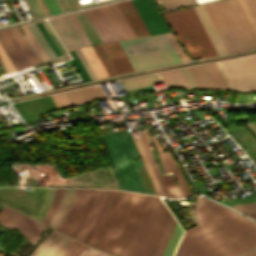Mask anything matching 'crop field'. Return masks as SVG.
Listing matches in <instances>:
<instances>
[{
    "label": "crop field",
    "mask_w": 256,
    "mask_h": 256,
    "mask_svg": "<svg viewBox=\"0 0 256 256\" xmlns=\"http://www.w3.org/2000/svg\"><path fill=\"white\" fill-rule=\"evenodd\" d=\"M87 62L89 63L90 67L92 68L94 74L96 75L97 79L107 77V74L93 48V46L83 47L81 48Z\"/></svg>",
    "instance_id": "crop-field-24"
},
{
    "label": "crop field",
    "mask_w": 256,
    "mask_h": 256,
    "mask_svg": "<svg viewBox=\"0 0 256 256\" xmlns=\"http://www.w3.org/2000/svg\"><path fill=\"white\" fill-rule=\"evenodd\" d=\"M106 256H111V255H108V254H107Z\"/></svg>",
    "instance_id": "crop-field-55"
},
{
    "label": "crop field",
    "mask_w": 256,
    "mask_h": 256,
    "mask_svg": "<svg viewBox=\"0 0 256 256\" xmlns=\"http://www.w3.org/2000/svg\"><path fill=\"white\" fill-rule=\"evenodd\" d=\"M158 81L159 78L157 74H147L139 77L122 80L121 83L125 91H128L132 89L150 86L151 84L157 83Z\"/></svg>",
    "instance_id": "crop-field-23"
},
{
    "label": "crop field",
    "mask_w": 256,
    "mask_h": 256,
    "mask_svg": "<svg viewBox=\"0 0 256 256\" xmlns=\"http://www.w3.org/2000/svg\"><path fill=\"white\" fill-rule=\"evenodd\" d=\"M95 191L94 189L76 190L69 211L57 230L74 237L87 216Z\"/></svg>",
    "instance_id": "crop-field-9"
},
{
    "label": "crop field",
    "mask_w": 256,
    "mask_h": 256,
    "mask_svg": "<svg viewBox=\"0 0 256 256\" xmlns=\"http://www.w3.org/2000/svg\"><path fill=\"white\" fill-rule=\"evenodd\" d=\"M77 92L83 103L105 96L101 85L78 89Z\"/></svg>",
    "instance_id": "crop-field-29"
},
{
    "label": "crop field",
    "mask_w": 256,
    "mask_h": 256,
    "mask_svg": "<svg viewBox=\"0 0 256 256\" xmlns=\"http://www.w3.org/2000/svg\"><path fill=\"white\" fill-rule=\"evenodd\" d=\"M105 191L106 190H98L97 191L96 196H95L94 201H93V204L91 206V209L88 213V216H87L84 224L81 226V228L79 229V231L77 232V234L74 237L77 240L82 242L83 238L85 237L88 230L92 226V224H93V222H94V220H95V218H96V216L99 212L101 204L103 202Z\"/></svg>",
    "instance_id": "crop-field-21"
},
{
    "label": "crop field",
    "mask_w": 256,
    "mask_h": 256,
    "mask_svg": "<svg viewBox=\"0 0 256 256\" xmlns=\"http://www.w3.org/2000/svg\"><path fill=\"white\" fill-rule=\"evenodd\" d=\"M256 220V219H255Z\"/></svg>",
    "instance_id": "crop-field-56"
},
{
    "label": "crop field",
    "mask_w": 256,
    "mask_h": 256,
    "mask_svg": "<svg viewBox=\"0 0 256 256\" xmlns=\"http://www.w3.org/2000/svg\"><path fill=\"white\" fill-rule=\"evenodd\" d=\"M164 16L190 56L194 58L217 56L193 7L165 13Z\"/></svg>",
    "instance_id": "crop-field-5"
},
{
    "label": "crop field",
    "mask_w": 256,
    "mask_h": 256,
    "mask_svg": "<svg viewBox=\"0 0 256 256\" xmlns=\"http://www.w3.org/2000/svg\"><path fill=\"white\" fill-rule=\"evenodd\" d=\"M87 17L89 18L91 24L96 30L98 36L100 37L102 43L115 41L116 38L111 31L109 25L107 24L104 16L102 15L98 7L84 10Z\"/></svg>",
    "instance_id": "crop-field-16"
},
{
    "label": "crop field",
    "mask_w": 256,
    "mask_h": 256,
    "mask_svg": "<svg viewBox=\"0 0 256 256\" xmlns=\"http://www.w3.org/2000/svg\"><path fill=\"white\" fill-rule=\"evenodd\" d=\"M161 200L147 195L119 256H135Z\"/></svg>",
    "instance_id": "crop-field-7"
},
{
    "label": "crop field",
    "mask_w": 256,
    "mask_h": 256,
    "mask_svg": "<svg viewBox=\"0 0 256 256\" xmlns=\"http://www.w3.org/2000/svg\"><path fill=\"white\" fill-rule=\"evenodd\" d=\"M166 11L194 5V0H161Z\"/></svg>",
    "instance_id": "crop-field-32"
},
{
    "label": "crop field",
    "mask_w": 256,
    "mask_h": 256,
    "mask_svg": "<svg viewBox=\"0 0 256 256\" xmlns=\"http://www.w3.org/2000/svg\"><path fill=\"white\" fill-rule=\"evenodd\" d=\"M74 15L77 18L78 22L80 23L81 27L83 28V30H84L85 34L87 35L88 39L90 40L91 44L101 43L99 37L97 36L95 30L93 29L92 25L90 24L84 11L74 12Z\"/></svg>",
    "instance_id": "crop-field-28"
},
{
    "label": "crop field",
    "mask_w": 256,
    "mask_h": 256,
    "mask_svg": "<svg viewBox=\"0 0 256 256\" xmlns=\"http://www.w3.org/2000/svg\"><path fill=\"white\" fill-rule=\"evenodd\" d=\"M49 21L67 51L84 46L83 41L75 30L67 14L50 18Z\"/></svg>",
    "instance_id": "crop-field-12"
},
{
    "label": "crop field",
    "mask_w": 256,
    "mask_h": 256,
    "mask_svg": "<svg viewBox=\"0 0 256 256\" xmlns=\"http://www.w3.org/2000/svg\"><path fill=\"white\" fill-rule=\"evenodd\" d=\"M106 253L86 246L78 256H105Z\"/></svg>",
    "instance_id": "crop-field-43"
},
{
    "label": "crop field",
    "mask_w": 256,
    "mask_h": 256,
    "mask_svg": "<svg viewBox=\"0 0 256 256\" xmlns=\"http://www.w3.org/2000/svg\"><path fill=\"white\" fill-rule=\"evenodd\" d=\"M42 25L44 26L45 30L48 32V34L50 35L51 39L53 40V42L55 43V45L57 46L58 50L60 51L61 54L65 53V51L63 50V48L61 47V45L59 44L58 40L56 39V37L54 36V34L52 33L49 25L47 24L46 20H42L41 21Z\"/></svg>",
    "instance_id": "crop-field-42"
},
{
    "label": "crop field",
    "mask_w": 256,
    "mask_h": 256,
    "mask_svg": "<svg viewBox=\"0 0 256 256\" xmlns=\"http://www.w3.org/2000/svg\"><path fill=\"white\" fill-rule=\"evenodd\" d=\"M228 54L256 48V34L237 0L204 5Z\"/></svg>",
    "instance_id": "crop-field-1"
},
{
    "label": "crop field",
    "mask_w": 256,
    "mask_h": 256,
    "mask_svg": "<svg viewBox=\"0 0 256 256\" xmlns=\"http://www.w3.org/2000/svg\"><path fill=\"white\" fill-rule=\"evenodd\" d=\"M119 74L133 71L118 42L103 45Z\"/></svg>",
    "instance_id": "crop-field-19"
},
{
    "label": "crop field",
    "mask_w": 256,
    "mask_h": 256,
    "mask_svg": "<svg viewBox=\"0 0 256 256\" xmlns=\"http://www.w3.org/2000/svg\"><path fill=\"white\" fill-rule=\"evenodd\" d=\"M243 214L256 212V202L230 206Z\"/></svg>",
    "instance_id": "crop-field-36"
},
{
    "label": "crop field",
    "mask_w": 256,
    "mask_h": 256,
    "mask_svg": "<svg viewBox=\"0 0 256 256\" xmlns=\"http://www.w3.org/2000/svg\"><path fill=\"white\" fill-rule=\"evenodd\" d=\"M236 256H256V246Z\"/></svg>",
    "instance_id": "crop-field-49"
},
{
    "label": "crop field",
    "mask_w": 256,
    "mask_h": 256,
    "mask_svg": "<svg viewBox=\"0 0 256 256\" xmlns=\"http://www.w3.org/2000/svg\"><path fill=\"white\" fill-rule=\"evenodd\" d=\"M136 37L149 35L131 0L118 3Z\"/></svg>",
    "instance_id": "crop-field-17"
},
{
    "label": "crop field",
    "mask_w": 256,
    "mask_h": 256,
    "mask_svg": "<svg viewBox=\"0 0 256 256\" xmlns=\"http://www.w3.org/2000/svg\"><path fill=\"white\" fill-rule=\"evenodd\" d=\"M256 194V189L254 190ZM256 201V196L240 198V199H233L227 201H221L224 204L231 205V204H239V203H246V202H253Z\"/></svg>",
    "instance_id": "crop-field-44"
},
{
    "label": "crop field",
    "mask_w": 256,
    "mask_h": 256,
    "mask_svg": "<svg viewBox=\"0 0 256 256\" xmlns=\"http://www.w3.org/2000/svg\"><path fill=\"white\" fill-rule=\"evenodd\" d=\"M76 189L63 188L59 204L48 226L56 229L65 217Z\"/></svg>",
    "instance_id": "crop-field-20"
},
{
    "label": "crop field",
    "mask_w": 256,
    "mask_h": 256,
    "mask_svg": "<svg viewBox=\"0 0 256 256\" xmlns=\"http://www.w3.org/2000/svg\"><path fill=\"white\" fill-rule=\"evenodd\" d=\"M119 192H122V191H119ZM118 192V194H119ZM123 193H129V192H123ZM123 193H120L115 204H114V207L108 217V220L101 232V235L96 243V247H99L101 249H104V250H107L109 252H112V253H115V254H119L122 246H123V243L129 233V230L134 222V219L140 209V206L144 200L145 197H142V196H145L143 194H136V193H129V194H136V195H142V196H136V195H129V194H123ZM107 219V218H106ZM94 247V246H93ZM94 247V248H96ZM98 249V248H96ZM99 249V250H101ZM104 250H101V251H104ZM106 252V251H104ZM109 252H106V253H109ZM112 253H109L111 255H114ZM117 255H114V256H117Z\"/></svg>",
    "instance_id": "crop-field-2"
},
{
    "label": "crop field",
    "mask_w": 256,
    "mask_h": 256,
    "mask_svg": "<svg viewBox=\"0 0 256 256\" xmlns=\"http://www.w3.org/2000/svg\"><path fill=\"white\" fill-rule=\"evenodd\" d=\"M0 62L3 66V68L5 69L6 73L15 71V68L13 67L10 60L8 59V57L2 50L1 46H0Z\"/></svg>",
    "instance_id": "crop-field-37"
},
{
    "label": "crop field",
    "mask_w": 256,
    "mask_h": 256,
    "mask_svg": "<svg viewBox=\"0 0 256 256\" xmlns=\"http://www.w3.org/2000/svg\"><path fill=\"white\" fill-rule=\"evenodd\" d=\"M170 215L161 202L136 256H152Z\"/></svg>",
    "instance_id": "crop-field-10"
},
{
    "label": "crop field",
    "mask_w": 256,
    "mask_h": 256,
    "mask_svg": "<svg viewBox=\"0 0 256 256\" xmlns=\"http://www.w3.org/2000/svg\"><path fill=\"white\" fill-rule=\"evenodd\" d=\"M0 43L6 50L16 70L40 64V61L29 48L18 28L1 31Z\"/></svg>",
    "instance_id": "crop-field-8"
},
{
    "label": "crop field",
    "mask_w": 256,
    "mask_h": 256,
    "mask_svg": "<svg viewBox=\"0 0 256 256\" xmlns=\"http://www.w3.org/2000/svg\"><path fill=\"white\" fill-rule=\"evenodd\" d=\"M61 190H62V188H56V190H55V195H54V199H53V201H52V203H51V205H50V208H49V211H48L47 215H46L45 218L42 220V223H43V221H45L44 224L47 225L48 221H49L50 218L52 217L53 212H54V210H55V208H56V206H57V204H58V201H59V198H60V194H61Z\"/></svg>",
    "instance_id": "crop-field-34"
},
{
    "label": "crop field",
    "mask_w": 256,
    "mask_h": 256,
    "mask_svg": "<svg viewBox=\"0 0 256 256\" xmlns=\"http://www.w3.org/2000/svg\"><path fill=\"white\" fill-rule=\"evenodd\" d=\"M117 192L118 191H107L106 192V196H105L104 202L102 204V207L100 209V212H99L93 226L91 227L90 231L88 232L85 239L83 240V243L93 246Z\"/></svg>",
    "instance_id": "crop-field-15"
},
{
    "label": "crop field",
    "mask_w": 256,
    "mask_h": 256,
    "mask_svg": "<svg viewBox=\"0 0 256 256\" xmlns=\"http://www.w3.org/2000/svg\"><path fill=\"white\" fill-rule=\"evenodd\" d=\"M168 89L170 88H189L180 69L160 73Z\"/></svg>",
    "instance_id": "crop-field-26"
},
{
    "label": "crop field",
    "mask_w": 256,
    "mask_h": 256,
    "mask_svg": "<svg viewBox=\"0 0 256 256\" xmlns=\"http://www.w3.org/2000/svg\"><path fill=\"white\" fill-rule=\"evenodd\" d=\"M113 164L122 190L146 193L132 159L139 158L127 131L100 137Z\"/></svg>",
    "instance_id": "crop-field-4"
},
{
    "label": "crop field",
    "mask_w": 256,
    "mask_h": 256,
    "mask_svg": "<svg viewBox=\"0 0 256 256\" xmlns=\"http://www.w3.org/2000/svg\"><path fill=\"white\" fill-rule=\"evenodd\" d=\"M31 2H32V4H33V6H34V8H35V10H36V12H37V14H38V16H39V17H42L43 14H42V12H41V10H40V8H39V6H38L36 0H31Z\"/></svg>",
    "instance_id": "crop-field-51"
},
{
    "label": "crop field",
    "mask_w": 256,
    "mask_h": 256,
    "mask_svg": "<svg viewBox=\"0 0 256 256\" xmlns=\"http://www.w3.org/2000/svg\"><path fill=\"white\" fill-rule=\"evenodd\" d=\"M175 224H176V222H175L174 218L171 216V218H170V220H169V222H168V224H167V226H166V228L163 232V235H162V237H161V239H160V241H159V243H158V245L155 249V252H154L153 256H161L162 255V252H163V250H164V248L167 244V241H168V239L171 235V232H172Z\"/></svg>",
    "instance_id": "crop-field-30"
},
{
    "label": "crop field",
    "mask_w": 256,
    "mask_h": 256,
    "mask_svg": "<svg viewBox=\"0 0 256 256\" xmlns=\"http://www.w3.org/2000/svg\"><path fill=\"white\" fill-rule=\"evenodd\" d=\"M51 97H52L57 109L69 106V104H68L67 100L65 99L63 93L53 94V95H51Z\"/></svg>",
    "instance_id": "crop-field-38"
},
{
    "label": "crop field",
    "mask_w": 256,
    "mask_h": 256,
    "mask_svg": "<svg viewBox=\"0 0 256 256\" xmlns=\"http://www.w3.org/2000/svg\"><path fill=\"white\" fill-rule=\"evenodd\" d=\"M134 140L136 142L137 149H138V151L140 153V157H141L142 163H143V165H144V167H145V169H146V171H147V173H148V175L150 177V180L152 182V185H153V188H154L156 194L159 195V196L165 197L164 194H163V191L161 189V186H160V184L158 182V179H157V177L155 175L154 169H153V167H152V165L150 163V160H149V157H148V153L146 151V148H145L141 138L140 137L139 138H135Z\"/></svg>",
    "instance_id": "crop-field-22"
},
{
    "label": "crop field",
    "mask_w": 256,
    "mask_h": 256,
    "mask_svg": "<svg viewBox=\"0 0 256 256\" xmlns=\"http://www.w3.org/2000/svg\"><path fill=\"white\" fill-rule=\"evenodd\" d=\"M247 216L251 217V218H254L256 217V213H253V214H247Z\"/></svg>",
    "instance_id": "crop-field-53"
},
{
    "label": "crop field",
    "mask_w": 256,
    "mask_h": 256,
    "mask_svg": "<svg viewBox=\"0 0 256 256\" xmlns=\"http://www.w3.org/2000/svg\"><path fill=\"white\" fill-rule=\"evenodd\" d=\"M134 71L180 63L166 34L120 41Z\"/></svg>",
    "instance_id": "crop-field-3"
},
{
    "label": "crop field",
    "mask_w": 256,
    "mask_h": 256,
    "mask_svg": "<svg viewBox=\"0 0 256 256\" xmlns=\"http://www.w3.org/2000/svg\"><path fill=\"white\" fill-rule=\"evenodd\" d=\"M21 28L23 29V31L25 32V34L27 35V37L29 38V40L31 41V43L33 44V46L35 47V49L37 50V52L39 53V55L42 57V59L44 60V62L48 61L47 58L44 56V54L42 53V51L39 49V47L36 45V43L34 42L31 34L28 32V30L25 28L24 25H20Z\"/></svg>",
    "instance_id": "crop-field-48"
},
{
    "label": "crop field",
    "mask_w": 256,
    "mask_h": 256,
    "mask_svg": "<svg viewBox=\"0 0 256 256\" xmlns=\"http://www.w3.org/2000/svg\"><path fill=\"white\" fill-rule=\"evenodd\" d=\"M25 26L29 30V32L32 34V36L34 37V39L36 40V42L38 43V45L40 46V48L42 49V51L44 52L48 60L55 57V54L53 53V51L51 50V48L49 47V45L47 44L43 36L41 35L35 22L27 23L25 24Z\"/></svg>",
    "instance_id": "crop-field-27"
},
{
    "label": "crop field",
    "mask_w": 256,
    "mask_h": 256,
    "mask_svg": "<svg viewBox=\"0 0 256 256\" xmlns=\"http://www.w3.org/2000/svg\"><path fill=\"white\" fill-rule=\"evenodd\" d=\"M13 213L14 211L7 207L1 210L0 224L10 230L17 228L30 243H34L44 225L27 216L22 219Z\"/></svg>",
    "instance_id": "crop-field-11"
},
{
    "label": "crop field",
    "mask_w": 256,
    "mask_h": 256,
    "mask_svg": "<svg viewBox=\"0 0 256 256\" xmlns=\"http://www.w3.org/2000/svg\"><path fill=\"white\" fill-rule=\"evenodd\" d=\"M84 247L85 245L75 240L62 256H77Z\"/></svg>",
    "instance_id": "crop-field-35"
},
{
    "label": "crop field",
    "mask_w": 256,
    "mask_h": 256,
    "mask_svg": "<svg viewBox=\"0 0 256 256\" xmlns=\"http://www.w3.org/2000/svg\"><path fill=\"white\" fill-rule=\"evenodd\" d=\"M25 40L27 41L28 45L30 46V48L33 50V52L36 54V56L38 57V59L41 61V63H43V60L40 58V56L37 54V52L34 50V48L32 47V45L30 44L29 40L27 39L26 35H24Z\"/></svg>",
    "instance_id": "crop-field-52"
},
{
    "label": "crop field",
    "mask_w": 256,
    "mask_h": 256,
    "mask_svg": "<svg viewBox=\"0 0 256 256\" xmlns=\"http://www.w3.org/2000/svg\"><path fill=\"white\" fill-rule=\"evenodd\" d=\"M168 38L170 39L172 45L174 46L175 50L177 51L179 57L181 58L182 62L183 61H187L190 60L184 53L183 51L179 48L178 44L176 43V41L174 40L173 36L171 35V33L167 34Z\"/></svg>",
    "instance_id": "crop-field-45"
},
{
    "label": "crop field",
    "mask_w": 256,
    "mask_h": 256,
    "mask_svg": "<svg viewBox=\"0 0 256 256\" xmlns=\"http://www.w3.org/2000/svg\"><path fill=\"white\" fill-rule=\"evenodd\" d=\"M68 16L71 19L72 23L74 24L75 28L77 29V31H78L79 35L81 36L82 40L84 41L85 45H89L90 42L87 39L86 35L84 34L83 30L81 29L79 23L77 22L76 18L73 15V13H69Z\"/></svg>",
    "instance_id": "crop-field-40"
},
{
    "label": "crop field",
    "mask_w": 256,
    "mask_h": 256,
    "mask_svg": "<svg viewBox=\"0 0 256 256\" xmlns=\"http://www.w3.org/2000/svg\"><path fill=\"white\" fill-rule=\"evenodd\" d=\"M181 71H182L184 77L186 78L190 88H198V86H197L196 82L194 81L192 75L190 74L188 68H183V69H181Z\"/></svg>",
    "instance_id": "crop-field-47"
},
{
    "label": "crop field",
    "mask_w": 256,
    "mask_h": 256,
    "mask_svg": "<svg viewBox=\"0 0 256 256\" xmlns=\"http://www.w3.org/2000/svg\"><path fill=\"white\" fill-rule=\"evenodd\" d=\"M147 150L150 156V160L151 163L155 169V172L157 174V177L161 183V186L163 188L164 194L166 197H175V198H179V197H183V196H192L187 184L181 174V172L179 171L177 165L175 164V162L172 160V158L170 157L168 152H163L162 148L160 147L159 143L157 142V139L155 137V135L151 136L154 144L159 152V156H160V160H161V164L163 167V171L165 172H171L173 171L174 176L176 178V181L182 191L179 190L178 186L176 185V183L174 182L173 178L171 175H165V176H161L158 167L153 159V156L151 154L150 148L148 146V144H151L149 137L147 135L146 131H142L139 132ZM146 150V151H147Z\"/></svg>",
    "instance_id": "crop-field-6"
},
{
    "label": "crop field",
    "mask_w": 256,
    "mask_h": 256,
    "mask_svg": "<svg viewBox=\"0 0 256 256\" xmlns=\"http://www.w3.org/2000/svg\"><path fill=\"white\" fill-rule=\"evenodd\" d=\"M239 2H240V4H241V6H242L244 12L246 13V15H247V17H248V19H249V21H250V23H251L253 29H254L255 32H256V26H255V24L253 23V21H252L250 15H249V13H248V11H247V9H246L244 3H243V1H242V0H239Z\"/></svg>",
    "instance_id": "crop-field-50"
},
{
    "label": "crop field",
    "mask_w": 256,
    "mask_h": 256,
    "mask_svg": "<svg viewBox=\"0 0 256 256\" xmlns=\"http://www.w3.org/2000/svg\"><path fill=\"white\" fill-rule=\"evenodd\" d=\"M66 94H67L72 106L82 104V101L80 100L76 90L67 91Z\"/></svg>",
    "instance_id": "crop-field-46"
},
{
    "label": "crop field",
    "mask_w": 256,
    "mask_h": 256,
    "mask_svg": "<svg viewBox=\"0 0 256 256\" xmlns=\"http://www.w3.org/2000/svg\"><path fill=\"white\" fill-rule=\"evenodd\" d=\"M204 29L206 30L216 52L218 53V55H223V54H227L216 30L214 29L203 5H200V6H195L194 7Z\"/></svg>",
    "instance_id": "crop-field-18"
},
{
    "label": "crop field",
    "mask_w": 256,
    "mask_h": 256,
    "mask_svg": "<svg viewBox=\"0 0 256 256\" xmlns=\"http://www.w3.org/2000/svg\"><path fill=\"white\" fill-rule=\"evenodd\" d=\"M107 7H108L109 11L111 12L113 18L115 19L117 25L119 26L120 30L122 31L124 37L126 39L134 38L135 35H134L133 31L131 30L129 24L127 23L125 17L123 16L121 10L119 9L117 3L108 4Z\"/></svg>",
    "instance_id": "crop-field-25"
},
{
    "label": "crop field",
    "mask_w": 256,
    "mask_h": 256,
    "mask_svg": "<svg viewBox=\"0 0 256 256\" xmlns=\"http://www.w3.org/2000/svg\"><path fill=\"white\" fill-rule=\"evenodd\" d=\"M100 9H101L103 15L105 16L107 22L109 23V25H110L112 31L114 32V34H115L117 40H122V39H124L122 33L120 32L118 26L116 25V23H115V21H114V19L112 18L111 14L109 13V11H108L106 5L100 6Z\"/></svg>",
    "instance_id": "crop-field-33"
},
{
    "label": "crop field",
    "mask_w": 256,
    "mask_h": 256,
    "mask_svg": "<svg viewBox=\"0 0 256 256\" xmlns=\"http://www.w3.org/2000/svg\"><path fill=\"white\" fill-rule=\"evenodd\" d=\"M254 23L256 24V0H243Z\"/></svg>",
    "instance_id": "crop-field-41"
},
{
    "label": "crop field",
    "mask_w": 256,
    "mask_h": 256,
    "mask_svg": "<svg viewBox=\"0 0 256 256\" xmlns=\"http://www.w3.org/2000/svg\"><path fill=\"white\" fill-rule=\"evenodd\" d=\"M74 50H75L77 56L79 57L80 61L82 62L84 68L86 69L87 73L89 74L91 80H95L96 77L93 74V72H92L91 68L89 67L88 63L86 62V60H85V58H84L80 48H77V49H74Z\"/></svg>",
    "instance_id": "crop-field-39"
},
{
    "label": "crop field",
    "mask_w": 256,
    "mask_h": 256,
    "mask_svg": "<svg viewBox=\"0 0 256 256\" xmlns=\"http://www.w3.org/2000/svg\"><path fill=\"white\" fill-rule=\"evenodd\" d=\"M205 88L229 90L215 63L193 66Z\"/></svg>",
    "instance_id": "crop-field-14"
},
{
    "label": "crop field",
    "mask_w": 256,
    "mask_h": 256,
    "mask_svg": "<svg viewBox=\"0 0 256 256\" xmlns=\"http://www.w3.org/2000/svg\"><path fill=\"white\" fill-rule=\"evenodd\" d=\"M63 93H64V95H65L66 99L68 100V98H67V96H66L65 92H63ZM68 102H69V100H68ZM69 104H70V102H69ZM70 106H71V104H70Z\"/></svg>",
    "instance_id": "crop-field-54"
},
{
    "label": "crop field",
    "mask_w": 256,
    "mask_h": 256,
    "mask_svg": "<svg viewBox=\"0 0 256 256\" xmlns=\"http://www.w3.org/2000/svg\"><path fill=\"white\" fill-rule=\"evenodd\" d=\"M182 233H183V231L178 226V224H176L162 256H172L173 255L175 248L181 238Z\"/></svg>",
    "instance_id": "crop-field-31"
},
{
    "label": "crop field",
    "mask_w": 256,
    "mask_h": 256,
    "mask_svg": "<svg viewBox=\"0 0 256 256\" xmlns=\"http://www.w3.org/2000/svg\"><path fill=\"white\" fill-rule=\"evenodd\" d=\"M74 239L52 230L29 256H60Z\"/></svg>",
    "instance_id": "crop-field-13"
}]
</instances>
